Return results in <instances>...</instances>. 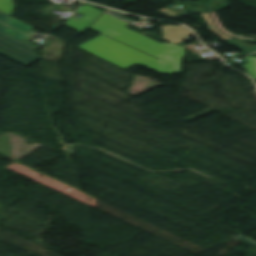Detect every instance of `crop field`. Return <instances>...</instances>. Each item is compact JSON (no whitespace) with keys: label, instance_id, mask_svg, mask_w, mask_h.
<instances>
[{"label":"crop field","instance_id":"crop-field-7","mask_svg":"<svg viewBox=\"0 0 256 256\" xmlns=\"http://www.w3.org/2000/svg\"><path fill=\"white\" fill-rule=\"evenodd\" d=\"M13 8H14V4H13L12 0H0V11L1 12L10 16Z\"/></svg>","mask_w":256,"mask_h":256},{"label":"crop field","instance_id":"crop-field-1","mask_svg":"<svg viewBox=\"0 0 256 256\" xmlns=\"http://www.w3.org/2000/svg\"><path fill=\"white\" fill-rule=\"evenodd\" d=\"M129 25L103 13L90 27L121 42L160 58V73H180V61L185 56V48L173 44H161L137 32L129 30Z\"/></svg>","mask_w":256,"mask_h":256},{"label":"crop field","instance_id":"crop-field-12","mask_svg":"<svg viewBox=\"0 0 256 256\" xmlns=\"http://www.w3.org/2000/svg\"><path fill=\"white\" fill-rule=\"evenodd\" d=\"M236 238L239 239V240H241V241H243V242H245V243H247V244H249V245H251V246L256 247V242H253V241L248 240V239H246V238H243V237H241V236H238V237H236Z\"/></svg>","mask_w":256,"mask_h":256},{"label":"crop field","instance_id":"crop-field-10","mask_svg":"<svg viewBox=\"0 0 256 256\" xmlns=\"http://www.w3.org/2000/svg\"><path fill=\"white\" fill-rule=\"evenodd\" d=\"M106 12H108V13H110V14H112V15H114V16H116V17H118V18H120V19H122V20H124V21H126L128 23H130V24L133 23V21L124 18V16L127 15V14H123V13L116 12V11L109 10V9H107Z\"/></svg>","mask_w":256,"mask_h":256},{"label":"crop field","instance_id":"crop-field-4","mask_svg":"<svg viewBox=\"0 0 256 256\" xmlns=\"http://www.w3.org/2000/svg\"><path fill=\"white\" fill-rule=\"evenodd\" d=\"M33 28L0 12V33L28 47L38 48L29 43Z\"/></svg>","mask_w":256,"mask_h":256},{"label":"crop field","instance_id":"crop-field-8","mask_svg":"<svg viewBox=\"0 0 256 256\" xmlns=\"http://www.w3.org/2000/svg\"><path fill=\"white\" fill-rule=\"evenodd\" d=\"M244 58L248 60V63L245 64L246 69L249 71L252 77L256 79V58L250 56Z\"/></svg>","mask_w":256,"mask_h":256},{"label":"crop field","instance_id":"crop-field-9","mask_svg":"<svg viewBox=\"0 0 256 256\" xmlns=\"http://www.w3.org/2000/svg\"><path fill=\"white\" fill-rule=\"evenodd\" d=\"M202 15H203V17L205 18V20H207V21L209 22L210 28H211V30H212L214 33H216L218 36H220V37L223 38V39H231L230 37L219 33L218 30L214 28V26H213V24L211 23V21H210L209 16H208L207 13L202 14Z\"/></svg>","mask_w":256,"mask_h":256},{"label":"crop field","instance_id":"crop-field-2","mask_svg":"<svg viewBox=\"0 0 256 256\" xmlns=\"http://www.w3.org/2000/svg\"><path fill=\"white\" fill-rule=\"evenodd\" d=\"M79 47L125 69L139 64L159 73V60L103 35H100Z\"/></svg>","mask_w":256,"mask_h":256},{"label":"crop field","instance_id":"crop-field-5","mask_svg":"<svg viewBox=\"0 0 256 256\" xmlns=\"http://www.w3.org/2000/svg\"><path fill=\"white\" fill-rule=\"evenodd\" d=\"M77 12L85 15L79 20L71 17L64 24L80 32H82L101 13V11L88 5L79 8Z\"/></svg>","mask_w":256,"mask_h":256},{"label":"crop field","instance_id":"crop-field-3","mask_svg":"<svg viewBox=\"0 0 256 256\" xmlns=\"http://www.w3.org/2000/svg\"><path fill=\"white\" fill-rule=\"evenodd\" d=\"M34 51L0 34V55L28 67L39 60Z\"/></svg>","mask_w":256,"mask_h":256},{"label":"crop field","instance_id":"crop-field-6","mask_svg":"<svg viewBox=\"0 0 256 256\" xmlns=\"http://www.w3.org/2000/svg\"><path fill=\"white\" fill-rule=\"evenodd\" d=\"M164 39L173 43L180 44L183 40H188V35L193 33L183 26H162Z\"/></svg>","mask_w":256,"mask_h":256},{"label":"crop field","instance_id":"crop-field-11","mask_svg":"<svg viewBox=\"0 0 256 256\" xmlns=\"http://www.w3.org/2000/svg\"><path fill=\"white\" fill-rule=\"evenodd\" d=\"M161 12L165 13L166 15L172 17V18H175V17H179L180 15H178L177 13L165 8L163 10H160Z\"/></svg>","mask_w":256,"mask_h":256}]
</instances>
